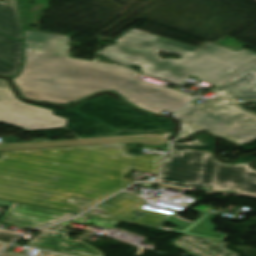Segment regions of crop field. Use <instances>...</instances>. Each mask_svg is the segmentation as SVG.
Masks as SVG:
<instances>
[{"mask_svg":"<svg viewBox=\"0 0 256 256\" xmlns=\"http://www.w3.org/2000/svg\"><path fill=\"white\" fill-rule=\"evenodd\" d=\"M161 157L123 144L4 151L0 198L79 213L133 182L131 168L158 174Z\"/></svg>","mask_w":256,"mask_h":256,"instance_id":"8a807250","label":"crop field"},{"mask_svg":"<svg viewBox=\"0 0 256 256\" xmlns=\"http://www.w3.org/2000/svg\"><path fill=\"white\" fill-rule=\"evenodd\" d=\"M70 38L25 32V65L16 85L23 96L64 104L101 90H114L130 103L157 113L176 112L194 96L134 79L138 72L109 64L70 59Z\"/></svg>","mask_w":256,"mask_h":256,"instance_id":"ac0d7876","label":"crop field"},{"mask_svg":"<svg viewBox=\"0 0 256 256\" xmlns=\"http://www.w3.org/2000/svg\"><path fill=\"white\" fill-rule=\"evenodd\" d=\"M101 53L125 65H137L144 74L175 84L192 74L199 80L220 85L256 65V54L245 49L234 52L205 42L195 48L132 29ZM158 51L183 55L180 60H162Z\"/></svg>","mask_w":256,"mask_h":256,"instance_id":"34b2d1b8","label":"crop field"},{"mask_svg":"<svg viewBox=\"0 0 256 256\" xmlns=\"http://www.w3.org/2000/svg\"><path fill=\"white\" fill-rule=\"evenodd\" d=\"M155 181L207 191L256 196V171L248 163L228 165L211 151L171 146Z\"/></svg>","mask_w":256,"mask_h":256,"instance_id":"412701ff","label":"crop field"},{"mask_svg":"<svg viewBox=\"0 0 256 256\" xmlns=\"http://www.w3.org/2000/svg\"><path fill=\"white\" fill-rule=\"evenodd\" d=\"M230 101L220 97L206 105L189 103L176 116L233 143L243 144L256 139V114Z\"/></svg>","mask_w":256,"mask_h":256,"instance_id":"f4fd0767","label":"crop field"},{"mask_svg":"<svg viewBox=\"0 0 256 256\" xmlns=\"http://www.w3.org/2000/svg\"><path fill=\"white\" fill-rule=\"evenodd\" d=\"M0 122L20 129H48L66 125L52 110L20 101L12 89L0 88Z\"/></svg>","mask_w":256,"mask_h":256,"instance_id":"dd49c442","label":"crop field"},{"mask_svg":"<svg viewBox=\"0 0 256 256\" xmlns=\"http://www.w3.org/2000/svg\"><path fill=\"white\" fill-rule=\"evenodd\" d=\"M143 202V199L121 192L96 207L108 211L105 215L92 212L95 209L86 215L161 229L168 216L139 209Z\"/></svg>","mask_w":256,"mask_h":256,"instance_id":"e52e79f7","label":"crop field"},{"mask_svg":"<svg viewBox=\"0 0 256 256\" xmlns=\"http://www.w3.org/2000/svg\"><path fill=\"white\" fill-rule=\"evenodd\" d=\"M41 232L27 245L36 248H47L53 251L79 256H105L100 250L88 245L84 241H71L67 239L68 230L57 226L36 230Z\"/></svg>","mask_w":256,"mask_h":256,"instance_id":"d8731c3e","label":"crop field"},{"mask_svg":"<svg viewBox=\"0 0 256 256\" xmlns=\"http://www.w3.org/2000/svg\"><path fill=\"white\" fill-rule=\"evenodd\" d=\"M74 215L15 202L0 220L34 229L41 225L67 219Z\"/></svg>","mask_w":256,"mask_h":256,"instance_id":"5a996713","label":"crop field"},{"mask_svg":"<svg viewBox=\"0 0 256 256\" xmlns=\"http://www.w3.org/2000/svg\"><path fill=\"white\" fill-rule=\"evenodd\" d=\"M211 91L229 98L240 96L256 100V66Z\"/></svg>","mask_w":256,"mask_h":256,"instance_id":"3316defc","label":"crop field"},{"mask_svg":"<svg viewBox=\"0 0 256 256\" xmlns=\"http://www.w3.org/2000/svg\"><path fill=\"white\" fill-rule=\"evenodd\" d=\"M172 244L196 256H239L225 248L227 243L186 235Z\"/></svg>","mask_w":256,"mask_h":256,"instance_id":"28ad6ade","label":"crop field"},{"mask_svg":"<svg viewBox=\"0 0 256 256\" xmlns=\"http://www.w3.org/2000/svg\"><path fill=\"white\" fill-rule=\"evenodd\" d=\"M0 32L22 40V23L19 18L16 0L0 2Z\"/></svg>","mask_w":256,"mask_h":256,"instance_id":"d1516ede","label":"crop field"},{"mask_svg":"<svg viewBox=\"0 0 256 256\" xmlns=\"http://www.w3.org/2000/svg\"><path fill=\"white\" fill-rule=\"evenodd\" d=\"M120 142L168 150V141L164 138L162 133L120 136Z\"/></svg>","mask_w":256,"mask_h":256,"instance_id":"22f410ed","label":"crop field"},{"mask_svg":"<svg viewBox=\"0 0 256 256\" xmlns=\"http://www.w3.org/2000/svg\"><path fill=\"white\" fill-rule=\"evenodd\" d=\"M0 56L21 66L22 42L8 39L0 35Z\"/></svg>","mask_w":256,"mask_h":256,"instance_id":"cbeb9de0","label":"crop field"},{"mask_svg":"<svg viewBox=\"0 0 256 256\" xmlns=\"http://www.w3.org/2000/svg\"><path fill=\"white\" fill-rule=\"evenodd\" d=\"M20 67L0 57V75H15Z\"/></svg>","mask_w":256,"mask_h":256,"instance_id":"5142ce71","label":"crop field"},{"mask_svg":"<svg viewBox=\"0 0 256 256\" xmlns=\"http://www.w3.org/2000/svg\"><path fill=\"white\" fill-rule=\"evenodd\" d=\"M84 224H94L98 226H103V227H114L118 223L117 222H112V221H106V220H101V219H96V218H88Z\"/></svg>","mask_w":256,"mask_h":256,"instance_id":"d9b57169","label":"crop field"},{"mask_svg":"<svg viewBox=\"0 0 256 256\" xmlns=\"http://www.w3.org/2000/svg\"><path fill=\"white\" fill-rule=\"evenodd\" d=\"M0 256H25V255L15 254V253L4 251L3 253L0 254ZM38 256H66V255L51 253V252L42 250V252Z\"/></svg>","mask_w":256,"mask_h":256,"instance_id":"733c2abd","label":"crop field"},{"mask_svg":"<svg viewBox=\"0 0 256 256\" xmlns=\"http://www.w3.org/2000/svg\"><path fill=\"white\" fill-rule=\"evenodd\" d=\"M202 129L192 126V125H188V124H184V129L181 133L180 138L183 139L185 136H187L189 133L193 132V131H201Z\"/></svg>","mask_w":256,"mask_h":256,"instance_id":"4a817a6b","label":"crop field"},{"mask_svg":"<svg viewBox=\"0 0 256 256\" xmlns=\"http://www.w3.org/2000/svg\"><path fill=\"white\" fill-rule=\"evenodd\" d=\"M15 237H17V234H15V233L0 231V240H1V241L10 242V241L13 240ZM11 242H12V241H11Z\"/></svg>","mask_w":256,"mask_h":256,"instance_id":"bc2a9ffb","label":"crop field"},{"mask_svg":"<svg viewBox=\"0 0 256 256\" xmlns=\"http://www.w3.org/2000/svg\"><path fill=\"white\" fill-rule=\"evenodd\" d=\"M0 87L11 88L10 84L6 81V79H2V78H0Z\"/></svg>","mask_w":256,"mask_h":256,"instance_id":"214f88e0","label":"crop field"},{"mask_svg":"<svg viewBox=\"0 0 256 256\" xmlns=\"http://www.w3.org/2000/svg\"><path fill=\"white\" fill-rule=\"evenodd\" d=\"M12 204H13L12 202H7V201L0 200V205L10 207Z\"/></svg>","mask_w":256,"mask_h":256,"instance_id":"92a150f3","label":"crop field"},{"mask_svg":"<svg viewBox=\"0 0 256 256\" xmlns=\"http://www.w3.org/2000/svg\"><path fill=\"white\" fill-rule=\"evenodd\" d=\"M137 185L149 186L152 187L154 183H138Z\"/></svg>","mask_w":256,"mask_h":256,"instance_id":"dafd665d","label":"crop field"},{"mask_svg":"<svg viewBox=\"0 0 256 256\" xmlns=\"http://www.w3.org/2000/svg\"><path fill=\"white\" fill-rule=\"evenodd\" d=\"M83 220H84V218L77 217V218H75V219H73V220H71V221H75V222L81 223Z\"/></svg>","mask_w":256,"mask_h":256,"instance_id":"00972430","label":"crop field"},{"mask_svg":"<svg viewBox=\"0 0 256 256\" xmlns=\"http://www.w3.org/2000/svg\"><path fill=\"white\" fill-rule=\"evenodd\" d=\"M6 244H8L7 242H1L0 241V249H2ZM7 246V245H6Z\"/></svg>","mask_w":256,"mask_h":256,"instance_id":"a9b5d70f","label":"crop field"}]
</instances>
